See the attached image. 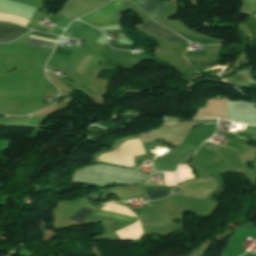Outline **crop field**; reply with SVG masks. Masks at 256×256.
Returning a JSON list of instances; mask_svg holds the SVG:
<instances>
[{
    "instance_id": "crop-field-1",
    "label": "crop field",
    "mask_w": 256,
    "mask_h": 256,
    "mask_svg": "<svg viewBox=\"0 0 256 256\" xmlns=\"http://www.w3.org/2000/svg\"><path fill=\"white\" fill-rule=\"evenodd\" d=\"M211 124H203L196 127L178 147L174 148L169 153L159 157L156 160L177 163L180 159L191 154L198 148L202 141L212 136L217 125Z\"/></svg>"
},
{
    "instance_id": "crop-field-2",
    "label": "crop field",
    "mask_w": 256,
    "mask_h": 256,
    "mask_svg": "<svg viewBox=\"0 0 256 256\" xmlns=\"http://www.w3.org/2000/svg\"><path fill=\"white\" fill-rule=\"evenodd\" d=\"M121 2L122 1L112 0L105 7L86 15L79 20L93 26L104 25L118 18Z\"/></svg>"
},
{
    "instance_id": "crop-field-3",
    "label": "crop field",
    "mask_w": 256,
    "mask_h": 256,
    "mask_svg": "<svg viewBox=\"0 0 256 256\" xmlns=\"http://www.w3.org/2000/svg\"><path fill=\"white\" fill-rule=\"evenodd\" d=\"M28 31L30 30L26 28H22L6 22H0V42L6 43L13 41Z\"/></svg>"
},
{
    "instance_id": "crop-field-4",
    "label": "crop field",
    "mask_w": 256,
    "mask_h": 256,
    "mask_svg": "<svg viewBox=\"0 0 256 256\" xmlns=\"http://www.w3.org/2000/svg\"><path fill=\"white\" fill-rule=\"evenodd\" d=\"M142 28L148 30L149 32L161 37L162 39L170 42H186L181 37L171 34L173 32L165 29L164 27L154 23V22H147L139 24Z\"/></svg>"
},
{
    "instance_id": "crop-field-5",
    "label": "crop field",
    "mask_w": 256,
    "mask_h": 256,
    "mask_svg": "<svg viewBox=\"0 0 256 256\" xmlns=\"http://www.w3.org/2000/svg\"><path fill=\"white\" fill-rule=\"evenodd\" d=\"M135 2L137 5L139 4L135 0H131ZM139 6L151 17L155 18L158 14H160L165 8V3L163 0H142Z\"/></svg>"
},
{
    "instance_id": "crop-field-6",
    "label": "crop field",
    "mask_w": 256,
    "mask_h": 256,
    "mask_svg": "<svg viewBox=\"0 0 256 256\" xmlns=\"http://www.w3.org/2000/svg\"><path fill=\"white\" fill-rule=\"evenodd\" d=\"M32 34L42 36V37L52 38V39H56V40L59 39V37L48 35V34L38 33L36 31H33ZM30 37L56 43V41H52V40H48V39H44V38H40V37H36V36H32V35ZM32 38H29V40L27 39L28 40L26 42L27 45H33V46H39V47H45V48H51V49H53L55 46L54 43L36 40V39H32Z\"/></svg>"
},
{
    "instance_id": "crop-field-7",
    "label": "crop field",
    "mask_w": 256,
    "mask_h": 256,
    "mask_svg": "<svg viewBox=\"0 0 256 256\" xmlns=\"http://www.w3.org/2000/svg\"><path fill=\"white\" fill-rule=\"evenodd\" d=\"M92 214L93 215H100V216H110V217H114V218H117V219L129 221V222H133L136 219L135 217H131V216L123 215V214H118V213L102 211V210L94 211Z\"/></svg>"
},
{
    "instance_id": "crop-field-8",
    "label": "crop field",
    "mask_w": 256,
    "mask_h": 256,
    "mask_svg": "<svg viewBox=\"0 0 256 256\" xmlns=\"http://www.w3.org/2000/svg\"><path fill=\"white\" fill-rule=\"evenodd\" d=\"M86 27L87 25L74 22L70 30L67 32V35L79 38Z\"/></svg>"
},
{
    "instance_id": "crop-field-9",
    "label": "crop field",
    "mask_w": 256,
    "mask_h": 256,
    "mask_svg": "<svg viewBox=\"0 0 256 256\" xmlns=\"http://www.w3.org/2000/svg\"><path fill=\"white\" fill-rule=\"evenodd\" d=\"M92 210L87 209L85 207L81 208L79 211H77L70 220L76 221L81 223L90 213Z\"/></svg>"
},
{
    "instance_id": "crop-field-10",
    "label": "crop field",
    "mask_w": 256,
    "mask_h": 256,
    "mask_svg": "<svg viewBox=\"0 0 256 256\" xmlns=\"http://www.w3.org/2000/svg\"><path fill=\"white\" fill-rule=\"evenodd\" d=\"M176 33L182 35L187 40L192 41V42L205 43V44H219L220 43V42H217V41H214V40H210V39L196 38V37L184 35V34L179 33V32H176Z\"/></svg>"
},
{
    "instance_id": "crop-field-11",
    "label": "crop field",
    "mask_w": 256,
    "mask_h": 256,
    "mask_svg": "<svg viewBox=\"0 0 256 256\" xmlns=\"http://www.w3.org/2000/svg\"><path fill=\"white\" fill-rule=\"evenodd\" d=\"M145 193L147 194L149 200H156L161 197L167 196L170 192H168L166 190H158V191H149V192H145Z\"/></svg>"
},
{
    "instance_id": "crop-field-12",
    "label": "crop field",
    "mask_w": 256,
    "mask_h": 256,
    "mask_svg": "<svg viewBox=\"0 0 256 256\" xmlns=\"http://www.w3.org/2000/svg\"><path fill=\"white\" fill-rule=\"evenodd\" d=\"M199 56H205V50L199 51V52L191 51V52L185 53V57H199Z\"/></svg>"
},
{
    "instance_id": "crop-field-13",
    "label": "crop field",
    "mask_w": 256,
    "mask_h": 256,
    "mask_svg": "<svg viewBox=\"0 0 256 256\" xmlns=\"http://www.w3.org/2000/svg\"><path fill=\"white\" fill-rule=\"evenodd\" d=\"M192 174V173H191ZM192 177L194 178V176L192 175Z\"/></svg>"
},
{
    "instance_id": "crop-field-14",
    "label": "crop field",
    "mask_w": 256,
    "mask_h": 256,
    "mask_svg": "<svg viewBox=\"0 0 256 256\" xmlns=\"http://www.w3.org/2000/svg\"><path fill=\"white\" fill-rule=\"evenodd\" d=\"M253 1H255V2H256V0H253Z\"/></svg>"
}]
</instances>
